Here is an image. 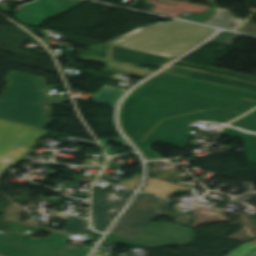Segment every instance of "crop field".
I'll use <instances>...</instances> for the list:
<instances>
[{
	"label": "crop field",
	"instance_id": "1",
	"mask_svg": "<svg viewBox=\"0 0 256 256\" xmlns=\"http://www.w3.org/2000/svg\"><path fill=\"white\" fill-rule=\"evenodd\" d=\"M132 93L153 98L160 103L155 111L142 106L136 107L133 111L140 113L141 117L127 133L144 150L148 159H161L159 154L150 150L158 141L183 148L193 135V128L189 125L195 121L227 123L256 106L255 93L164 72ZM215 107L220 109L164 120L143 142L140 141L163 118Z\"/></svg>",
	"mask_w": 256,
	"mask_h": 256
},
{
	"label": "crop field",
	"instance_id": "2",
	"mask_svg": "<svg viewBox=\"0 0 256 256\" xmlns=\"http://www.w3.org/2000/svg\"><path fill=\"white\" fill-rule=\"evenodd\" d=\"M9 82L0 98V118L46 129L50 120V105H63L66 99L49 97L45 78L11 71Z\"/></svg>",
	"mask_w": 256,
	"mask_h": 256
},
{
	"label": "crop field",
	"instance_id": "3",
	"mask_svg": "<svg viewBox=\"0 0 256 256\" xmlns=\"http://www.w3.org/2000/svg\"><path fill=\"white\" fill-rule=\"evenodd\" d=\"M212 32L210 28L173 21L139 28L108 43L175 58L196 45L179 41L182 37L194 34L206 38Z\"/></svg>",
	"mask_w": 256,
	"mask_h": 256
},
{
	"label": "crop field",
	"instance_id": "4",
	"mask_svg": "<svg viewBox=\"0 0 256 256\" xmlns=\"http://www.w3.org/2000/svg\"><path fill=\"white\" fill-rule=\"evenodd\" d=\"M170 208L166 199L139 193L112 232L134 238L159 216L188 227L193 217L172 213Z\"/></svg>",
	"mask_w": 256,
	"mask_h": 256
},
{
	"label": "crop field",
	"instance_id": "5",
	"mask_svg": "<svg viewBox=\"0 0 256 256\" xmlns=\"http://www.w3.org/2000/svg\"><path fill=\"white\" fill-rule=\"evenodd\" d=\"M69 234L54 232L49 237L28 240L0 233V254L8 256H86L90 250L67 248Z\"/></svg>",
	"mask_w": 256,
	"mask_h": 256
},
{
	"label": "crop field",
	"instance_id": "6",
	"mask_svg": "<svg viewBox=\"0 0 256 256\" xmlns=\"http://www.w3.org/2000/svg\"><path fill=\"white\" fill-rule=\"evenodd\" d=\"M46 132L0 119V176L17 164Z\"/></svg>",
	"mask_w": 256,
	"mask_h": 256
},
{
	"label": "crop field",
	"instance_id": "7",
	"mask_svg": "<svg viewBox=\"0 0 256 256\" xmlns=\"http://www.w3.org/2000/svg\"><path fill=\"white\" fill-rule=\"evenodd\" d=\"M195 235L194 230L170 223H153L134 239L109 234L105 242L154 248L166 245L188 243Z\"/></svg>",
	"mask_w": 256,
	"mask_h": 256
},
{
	"label": "crop field",
	"instance_id": "8",
	"mask_svg": "<svg viewBox=\"0 0 256 256\" xmlns=\"http://www.w3.org/2000/svg\"><path fill=\"white\" fill-rule=\"evenodd\" d=\"M83 2L75 0H35L16 8L14 10L16 11L15 17L20 22L38 26L54 14L58 12L66 13ZM65 3L68 4L65 5ZM18 12L21 13L18 14Z\"/></svg>",
	"mask_w": 256,
	"mask_h": 256
},
{
	"label": "crop field",
	"instance_id": "9",
	"mask_svg": "<svg viewBox=\"0 0 256 256\" xmlns=\"http://www.w3.org/2000/svg\"><path fill=\"white\" fill-rule=\"evenodd\" d=\"M95 191L97 194L93 196V224L96 230L104 231L110 219L132 191L127 190L122 195L107 192L101 188Z\"/></svg>",
	"mask_w": 256,
	"mask_h": 256
},
{
	"label": "crop field",
	"instance_id": "10",
	"mask_svg": "<svg viewBox=\"0 0 256 256\" xmlns=\"http://www.w3.org/2000/svg\"><path fill=\"white\" fill-rule=\"evenodd\" d=\"M164 72L174 73V74L195 78V79H199V80H203L211 83L223 84V85H227V86H231V87L256 93V84L248 83V82H244V81H240V80H236V79H232V78H228V77H224V76H220L212 73H207V72L180 67L176 65L169 67L168 69L164 70Z\"/></svg>",
	"mask_w": 256,
	"mask_h": 256
},
{
	"label": "crop field",
	"instance_id": "11",
	"mask_svg": "<svg viewBox=\"0 0 256 256\" xmlns=\"http://www.w3.org/2000/svg\"><path fill=\"white\" fill-rule=\"evenodd\" d=\"M110 60L132 65L143 64L162 67L167 62L173 60L134 49L119 47L112 45Z\"/></svg>",
	"mask_w": 256,
	"mask_h": 256
},
{
	"label": "crop field",
	"instance_id": "12",
	"mask_svg": "<svg viewBox=\"0 0 256 256\" xmlns=\"http://www.w3.org/2000/svg\"><path fill=\"white\" fill-rule=\"evenodd\" d=\"M159 103L155 100L130 94L124 101L120 110V120L124 132H128L130 127L136 122L140 114L131 112L137 105H143L150 110H155Z\"/></svg>",
	"mask_w": 256,
	"mask_h": 256
},
{
	"label": "crop field",
	"instance_id": "13",
	"mask_svg": "<svg viewBox=\"0 0 256 256\" xmlns=\"http://www.w3.org/2000/svg\"><path fill=\"white\" fill-rule=\"evenodd\" d=\"M224 130L228 131V136L240 137L244 139L249 160L256 162V135L248 134L229 126L225 127Z\"/></svg>",
	"mask_w": 256,
	"mask_h": 256
},
{
	"label": "crop field",
	"instance_id": "14",
	"mask_svg": "<svg viewBox=\"0 0 256 256\" xmlns=\"http://www.w3.org/2000/svg\"><path fill=\"white\" fill-rule=\"evenodd\" d=\"M205 23L218 27L234 29L237 28L242 21L233 19L227 12L217 10V14Z\"/></svg>",
	"mask_w": 256,
	"mask_h": 256
},
{
	"label": "crop field",
	"instance_id": "15",
	"mask_svg": "<svg viewBox=\"0 0 256 256\" xmlns=\"http://www.w3.org/2000/svg\"><path fill=\"white\" fill-rule=\"evenodd\" d=\"M87 227H88V220L69 215L67 225L62 230V232L71 233V234L73 233L84 234L86 232Z\"/></svg>",
	"mask_w": 256,
	"mask_h": 256
},
{
	"label": "crop field",
	"instance_id": "16",
	"mask_svg": "<svg viewBox=\"0 0 256 256\" xmlns=\"http://www.w3.org/2000/svg\"><path fill=\"white\" fill-rule=\"evenodd\" d=\"M230 125L252 133H256V110Z\"/></svg>",
	"mask_w": 256,
	"mask_h": 256
},
{
	"label": "crop field",
	"instance_id": "17",
	"mask_svg": "<svg viewBox=\"0 0 256 256\" xmlns=\"http://www.w3.org/2000/svg\"><path fill=\"white\" fill-rule=\"evenodd\" d=\"M110 46L111 45H109V44H103L102 50L90 47L88 54H90L92 56L102 57V58L109 60Z\"/></svg>",
	"mask_w": 256,
	"mask_h": 256
},
{
	"label": "crop field",
	"instance_id": "18",
	"mask_svg": "<svg viewBox=\"0 0 256 256\" xmlns=\"http://www.w3.org/2000/svg\"><path fill=\"white\" fill-rule=\"evenodd\" d=\"M238 36V34L223 32L212 40V42L232 44Z\"/></svg>",
	"mask_w": 256,
	"mask_h": 256
},
{
	"label": "crop field",
	"instance_id": "19",
	"mask_svg": "<svg viewBox=\"0 0 256 256\" xmlns=\"http://www.w3.org/2000/svg\"><path fill=\"white\" fill-rule=\"evenodd\" d=\"M213 13H214L213 9H209L206 13L202 15H198V14L181 15L178 18L193 20V21L202 23L204 20L210 17Z\"/></svg>",
	"mask_w": 256,
	"mask_h": 256
},
{
	"label": "crop field",
	"instance_id": "20",
	"mask_svg": "<svg viewBox=\"0 0 256 256\" xmlns=\"http://www.w3.org/2000/svg\"><path fill=\"white\" fill-rule=\"evenodd\" d=\"M125 91H126L125 89H120V88H115V87H110V86H104L97 95H99L101 93H106V94H109V95H111L114 98L119 100V98L122 96V94Z\"/></svg>",
	"mask_w": 256,
	"mask_h": 256
},
{
	"label": "crop field",
	"instance_id": "21",
	"mask_svg": "<svg viewBox=\"0 0 256 256\" xmlns=\"http://www.w3.org/2000/svg\"><path fill=\"white\" fill-rule=\"evenodd\" d=\"M93 99H95L96 103H100V104H104V105H108V106H112L115 107L116 103L118 100L114 99L113 97L109 96V95H105L102 94L100 96H95L93 97Z\"/></svg>",
	"mask_w": 256,
	"mask_h": 256
},
{
	"label": "crop field",
	"instance_id": "22",
	"mask_svg": "<svg viewBox=\"0 0 256 256\" xmlns=\"http://www.w3.org/2000/svg\"><path fill=\"white\" fill-rule=\"evenodd\" d=\"M101 144H107L108 141H114L115 144L134 150L129 144H127L122 138H107L99 140Z\"/></svg>",
	"mask_w": 256,
	"mask_h": 256
},
{
	"label": "crop field",
	"instance_id": "23",
	"mask_svg": "<svg viewBox=\"0 0 256 256\" xmlns=\"http://www.w3.org/2000/svg\"><path fill=\"white\" fill-rule=\"evenodd\" d=\"M253 246H254V244L247 243V244L243 245L242 247H240L239 249H237L236 251L229 254L228 256H239Z\"/></svg>",
	"mask_w": 256,
	"mask_h": 256
},
{
	"label": "crop field",
	"instance_id": "24",
	"mask_svg": "<svg viewBox=\"0 0 256 256\" xmlns=\"http://www.w3.org/2000/svg\"><path fill=\"white\" fill-rule=\"evenodd\" d=\"M181 40H186V41H190V42H194V43H199L200 41H202L203 39L194 35H187L185 36L183 39Z\"/></svg>",
	"mask_w": 256,
	"mask_h": 256
},
{
	"label": "crop field",
	"instance_id": "25",
	"mask_svg": "<svg viewBox=\"0 0 256 256\" xmlns=\"http://www.w3.org/2000/svg\"><path fill=\"white\" fill-rule=\"evenodd\" d=\"M254 249H256V246H254L253 248H251L250 250H248V251L245 252L244 254H246V253H248V252H250V251H252V250H254ZM244 254H242L241 256H243ZM247 256H256V251H254V252L248 254Z\"/></svg>",
	"mask_w": 256,
	"mask_h": 256
},
{
	"label": "crop field",
	"instance_id": "26",
	"mask_svg": "<svg viewBox=\"0 0 256 256\" xmlns=\"http://www.w3.org/2000/svg\"><path fill=\"white\" fill-rule=\"evenodd\" d=\"M103 147L105 148V150L107 151V153L112 152L110 146H108V145H103Z\"/></svg>",
	"mask_w": 256,
	"mask_h": 256
},
{
	"label": "crop field",
	"instance_id": "27",
	"mask_svg": "<svg viewBox=\"0 0 256 256\" xmlns=\"http://www.w3.org/2000/svg\"><path fill=\"white\" fill-rule=\"evenodd\" d=\"M93 256H105V255H101V254L95 253Z\"/></svg>",
	"mask_w": 256,
	"mask_h": 256
},
{
	"label": "crop field",
	"instance_id": "28",
	"mask_svg": "<svg viewBox=\"0 0 256 256\" xmlns=\"http://www.w3.org/2000/svg\"><path fill=\"white\" fill-rule=\"evenodd\" d=\"M251 243H255V244H256V240H255V241H253V242H251Z\"/></svg>",
	"mask_w": 256,
	"mask_h": 256
}]
</instances>
